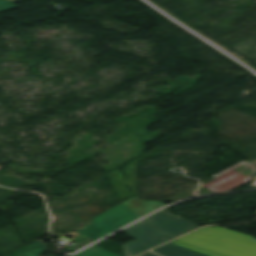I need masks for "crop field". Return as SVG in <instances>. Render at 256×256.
<instances>
[{
  "instance_id": "4",
  "label": "crop field",
  "mask_w": 256,
  "mask_h": 256,
  "mask_svg": "<svg viewBox=\"0 0 256 256\" xmlns=\"http://www.w3.org/2000/svg\"><path fill=\"white\" fill-rule=\"evenodd\" d=\"M145 220L171 239L199 227L191 221L184 220L180 216H174L164 209L146 217Z\"/></svg>"
},
{
  "instance_id": "6",
  "label": "crop field",
  "mask_w": 256,
  "mask_h": 256,
  "mask_svg": "<svg viewBox=\"0 0 256 256\" xmlns=\"http://www.w3.org/2000/svg\"><path fill=\"white\" fill-rule=\"evenodd\" d=\"M152 251H155L163 256H199L168 244L155 248Z\"/></svg>"
},
{
  "instance_id": "8",
  "label": "crop field",
  "mask_w": 256,
  "mask_h": 256,
  "mask_svg": "<svg viewBox=\"0 0 256 256\" xmlns=\"http://www.w3.org/2000/svg\"><path fill=\"white\" fill-rule=\"evenodd\" d=\"M14 8H18V6L9 2L8 0H0V12Z\"/></svg>"
},
{
  "instance_id": "9",
  "label": "crop field",
  "mask_w": 256,
  "mask_h": 256,
  "mask_svg": "<svg viewBox=\"0 0 256 256\" xmlns=\"http://www.w3.org/2000/svg\"><path fill=\"white\" fill-rule=\"evenodd\" d=\"M171 243H174V244H177V245H180V246L186 247V248H190V249H193V250H196V251H199V252H202V253H205V254L211 255V256H219V255L212 254V253H209V252H206V251H203V250H200V249H197V248H194V247L188 246V245H184V244H181V243H178V242H175V241H173V242H171Z\"/></svg>"
},
{
  "instance_id": "11",
  "label": "crop field",
  "mask_w": 256,
  "mask_h": 256,
  "mask_svg": "<svg viewBox=\"0 0 256 256\" xmlns=\"http://www.w3.org/2000/svg\"><path fill=\"white\" fill-rule=\"evenodd\" d=\"M140 256H156V255H154V254H152V253H150V252H147V253H145V254H143V255H140Z\"/></svg>"
},
{
  "instance_id": "12",
  "label": "crop field",
  "mask_w": 256,
  "mask_h": 256,
  "mask_svg": "<svg viewBox=\"0 0 256 256\" xmlns=\"http://www.w3.org/2000/svg\"><path fill=\"white\" fill-rule=\"evenodd\" d=\"M2 167H0V169H1Z\"/></svg>"
},
{
  "instance_id": "5",
  "label": "crop field",
  "mask_w": 256,
  "mask_h": 256,
  "mask_svg": "<svg viewBox=\"0 0 256 256\" xmlns=\"http://www.w3.org/2000/svg\"><path fill=\"white\" fill-rule=\"evenodd\" d=\"M47 247L42 240L34 242L8 256H41L47 252Z\"/></svg>"
},
{
  "instance_id": "7",
  "label": "crop field",
  "mask_w": 256,
  "mask_h": 256,
  "mask_svg": "<svg viewBox=\"0 0 256 256\" xmlns=\"http://www.w3.org/2000/svg\"><path fill=\"white\" fill-rule=\"evenodd\" d=\"M74 256H117L115 254H112L108 251L102 250L100 248L97 247H90Z\"/></svg>"
},
{
  "instance_id": "10",
  "label": "crop field",
  "mask_w": 256,
  "mask_h": 256,
  "mask_svg": "<svg viewBox=\"0 0 256 256\" xmlns=\"http://www.w3.org/2000/svg\"><path fill=\"white\" fill-rule=\"evenodd\" d=\"M168 244H171V243H168ZM171 245H174V244H171ZM174 246L179 247V248H182V249H185V250H188V251H191V252H194V253L199 254V255H202V256H208V255H205V254H202V253H199V252L193 251V250H189V249H186V248H183V247L177 246V245H174Z\"/></svg>"
},
{
  "instance_id": "1",
  "label": "crop field",
  "mask_w": 256,
  "mask_h": 256,
  "mask_svg": "<svg viewBox=\"0 0 256 256\" xmlns=\"http://www.w3.org/2000/svg\"><path fill=\"white\" fill-rule=\"evenodd\" d=\"M254 237L223 227L203 228L176 241L224 256H256Z\"/></svg>"
},
{
  "instance_id": "3",
  "label": "crop field",
  "mask_w": 256,
  "mask_h": 256,
  "mask_svg": "<svg viewBox=\"0 0 256 256\" xmlns=\"http://www.w3.org/2000/svg\"><path fill=\"white\" fill-rule=\"evenodd\" d=\"M123 231L134 239V241L122 246L125 256L136 255L153 246L170 240L167 236L143 219L123 229Z\"/></svg>"
},
{
  "instance_id": "2",
  "label": "crop field",
  "mask_w": 256,
  "mask_h": 256,
  "mask_svg": "<svg viewBox=\"0 0 256 256\" xmlns=\"http://www.w3.org/2000/svg\"><path fill=\"white\" fill-rule=\"evenodd\" d=\"M136 218L137 215L121 204L96 216L92 222L75 232L96 240Z\"/></svg>"
}]
</instances>
